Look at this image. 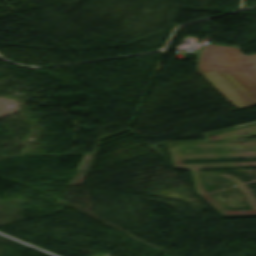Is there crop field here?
<instances>
[{
    "instance_id": "1",
    "label": "crop field",
    "mask_w": 256,
    "mask_h": 256,
    "mask_svg": "<svg viewBox=\"0 0 256 256\" xmlns=\"http://www.w3.org/2000/svg\"><path fill=\"white\" fill-rule=\"evenodd\" d=\"M198 72L238 109L256 105V54L244 56L239 48L204 44Z\"/></svg>"
}]
</instances>
